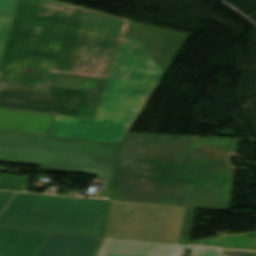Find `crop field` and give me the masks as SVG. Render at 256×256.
I'll use <instances>...</instances> for the list:
<instances>
[{
    "label": "crop field",
    "instance_id": "8a807250",
    "mask_svg": "<svg viewBox=\"0 0 256 256\" xmlns=\"http://www.w3.org/2000/svg\"><path fill=\"white\" fill-rule=\"evenodd\" d=\"M238 140L128 134L112 200L230 208Z\"/></svg>",
    "mask_w": 256,
    "mask_h": 256
},
{
    "label": "crop field",
    "instance_id": "ac0d7876",
    "mask_svg": "<svg viewBox=\"0 0 256 256\" xmlns=\"http://www.w3.org/2000/svg\"><path fill=\"white\" fill-rule=\"evenodd\" d=\"M185 39L130 21L94 119L55 115L48 136L121 144Z\"/></svg>",
    "mask_w": 256,
    "mask_h": 256
},
{
    "label": "crop field",
    "instance_id": "34b2d1b8",
    "mask_svg": "<svg viewBox=\"0 0 256 256\" xmlns=\"http://www.w3.org/2000/svg\"><path fill=\"white\" fill-rule=\"evenodd\" d=\"M108 206L0 191V256H34L51 232L102 236Z\"/></svg>",
    "mask_w": 256,
    "mask_h": 256
},
{
    "label": "crop field",
    "instance_id": "412701ff",
    "mask_svg": "<svg viewBox=\"0 0 256 256\" xmlns=\"http://www.w3.org/2000/svg\"><path fill=\"white\" fill-rule=\"evenodd\" d=\"M38 16L71 19L52 86L103 91L129 21L53 0Z\"/></svg>",
    "mask_w": 256,
    "mask_h": 256
},
{
    "label": "crop field",
    "instance_id": "f4fd0767",
    "mask_svg": "<svg viewBox=\"0 0 256 256\" xmlns=\"http://www.w3.org/2000/svg\"><path fill=\"white\" fill-rule=\"evenodd\" d=\"M119 144L0 133V161L42 165L44 170L98 175L99 196H109ZM27 177L0 174V189L23 191Z\"/></svg>",
    "mask_w": 256,
    "mask_h": 256
},
{
    "label": "crop field",
    "instance_id": "dd49c442",
    "mask_svg": "<svg viewBox=\"0 0 256 256\" xmlns=\"http://www.w3.org/2000/svg\"><path fill=\"white\" fill-rule=\"evenodd\" d=\"M41 0H19L0 81L51 86L69 21L37 17Z\"/></svg>",
    "mask_w": 256,
    "mask_h": 256
},
{
    "label": "crop field",
    "instance_id": "e52e79f7",
    "mask_svg": "<svg viewBox=\"0 0 256 256\" xmlns=\"http://www.w3.org/2000/svg\"><path fill=\"white\" fill-rule=\"evenodd\" d=\"M185 207L112 201L105 236L177 243Z\"/></svg>",
    "mask_w": 256,
    "mask_h": 256
},
{
    "label": "crop field",
    "instance_id": "d8731c3e",
    "mask_svg": "<svg viewBox=\"0 0 256 256\" xmlns=\"http://www.w3.org/2000/svg\"><path fill=\"white\" fill-rule=\"evenodd\" d=\"M83 90L5 84L0 82V107L74 115Z\"/></svg>",
    "mask_w": 256,
    "mask_h": 256
},
{
    "label": "crop field",
    "instance_id": "5a996713",
    "mask_svg": "<svg viewBox=\"0 0 256 256\" xmlns=\"http://www.w3.org/2000/svg\"><path fill=\"white\" fill-rule=\"evenodd\" d=\"M179 244L104 238L97 256H182Z\"/></svg>",
    "mask_w": 256,
    "mask_h": 256
},
{
    "label": "crop field",
    "instance_id": "3316defc",
    "mask_svg": "<svg viewBox=\"0 0 256 256\" xmlns=\"http://www.w3.org/2000/svg\"><path fill=\"white\" fill-rule=\"evenodd\" d=\"M102 238L51 233L35 256H94Z\"/></svg>",
    "mask_w": 256,
    "mask_h": 256
},
{
    "label": "crop field",
    "instance_id": "28ad6ade",
    "mask_svg": "<svg viewBox=\"0 0 256 256\" xmlns=\"http://www.w3.org/2000/svg\"><path fill=\"white\" fill-rule=\"evenodd\" d=\"M53 116L0 109V131L47 136Z\"/></svg>",
    "mask_w": 256,
    "mask_h": 256
},
{
    "label": "crop field",
    "instance_id": "d1516ede",
    "mask_svg": "<svg viewBox=\"0 0 256 256\" xmlns=\"http://www.w3.org/2000/svg\"><path fill=\"white\" fill-rule=\"evenodd\" d=\"M101 95L102 93L84 91L75 115L93 118Z\"/></svg>",
    "mask_w": 256,
    "mask_h": 256
},
{
    "label": "crop field",
    "instance_id": "22f410ed",
    "mask_svg": "<svg viewBox=\"0 0 256 256\" xmlns=\"http://www.w3.org/2000/svg\"><path fill=\"white\" fill-rule=\"evenodd\" d=\"M13 15L0 13V61L10 31Z\"/></svg>",
    "mask_w": 256,
    "mask_h": 256
},
{
    "label": "crop field",
    "instance_id": "cbeb9de0",
    "mask_svg": "<svg viewBox=\"0 0 256 256\" xmlns=\"http://www.w3.org/2000/svg\"><path fill=\"white\" fill-rule=\"evenodd\" d=\"M195 209L186 208L183 225L179 237L178 243L188 242L189 240V234H190V228H191V222L193 218Z\"/></svg>",
    "mask_w": 256,
    "mask_h": 256
},
{
    "label": "crop field",
    "instance_id": "5142ce71",
    "mask_svg": "<svg viewBox=\"0 0 256 256\" xmlns=\"http://www.w3.org/2000/svg\"><path fill=\"white\" fill-rule=\"evenodd\" d=\"M222 250L223 249L194 247L190 256H221Z\"/></svg>",
    "mask_w": 256,
    "mask_h": 256
},
{
    "label": "crop field",
    "instance_id": "d9b57169",
    "mask_svg": "<svg viewBox=\"0 0 256 256\" xmlns=\"http://www.w3.org/2000/svg\"><path fill=\"white\" fill-rule=\"evenodd\" d=\"M18 0H0V12L14 13Z\"/></svg>",
    "mask_w": 256,
    "mask_h": 256
},
{
    "label": "crop field",
    "instance_id": "733c2abd",
    "mask_svg": "<svg viewBox=\"0 0 256 256\" xmlns=\"http://www.w3.org/2000/svg\"><path fill=\"white\" fill-rule=\"evenodd\" d=\"M222 256H256V252L224 249Z\"/></svg>",
    "mask_w": 256,
    "mask_h": 256
}]
</instances>
